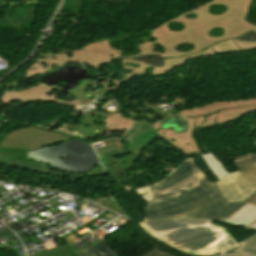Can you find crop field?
<instances>
[{
	"label": "crop field",
	"mask_w": 256,
	"mask_h": 256,
	"mask_svg": "<svg viewBox=\"0 0 256 256\" xmlns=\"http://www.w3.org/2000/svg\"><path fill=\"white\" fill-rule=\"evenodd\" d=\"M240 247L234 249L235 252H244L256 256V235L240 243Z\"/></svg>",
	"instance_id": "d1516ede"
},
{
	"label": "crop field",
	"mask_w": 256,
	"mask_h": 256,
	"mask_svg": "<svg viewBox=\"0 0 256 256\" xmlns=\"http://www.w3.org/2000/svg\"><path fill=\"white\" fill-rule=\"evenodd\" d=\"M39 256H73L71 253L69 247L66 243L61 244L59 246H56L54 248H51L49 250L43 251L40 253ZM77 256H87L86 253L83 251Z\"/></svg>",
	"instance_id": "28ad6ade"
},
{
	"label": "crop field",
	"mask_w": 256,
	"mask_h": 256,
	"mask_svg": "<svg viewBox=\"0 0 256 256\" xmlns=\"http://www.w3.org/2000/svg\"><path fill=\"white\" fill-rule=\"evenodd\" d=\"M146 202L144 219L191 218L224 221L246 201L228 204L215 183L209 184L191 160L162 183L137 190Z\"/></svg>",
	"instance_id": "ac0d7876"
},
{
	"label": "crop field",
	"mask_w": 256,
	"mask_h": 256,
	"mask_svg": "<svg viewBox=\"0 0 256 256\" xmlns=\"http://www.w3.org/2000/svg\"><path fill=\"white\" fill-rule=\"evenodd\" d=\"M25 256V255H24Z\"/></svg>",
	"instance_id": "d9b57169"
},
{
	"label": "crop field",
	"mask_w": 256,
	"mask_h": 256,
	"mask_svg": "<svg viewBox=\"0 0 256 256\" xmlns=\"http://www.w3.org/2000/svg\"><path fill=\"white\" fill-rule=\"evenodd\" d=\"M224 222L247 228L256 222V206L247 202Z\"/></svg>",
	"instance_id": "d8731c3e"
},
{
	"label": "crop field",
	"mask_w": 256,
	"mask_h": 256,
	"mask_svg": "<svg viewBox=\"0 0 256 256\" xmlns=\"http://www.w3.org/2000/svg\"><path fill=\"white\" fill-rule=\"evenodd\" d=\"M69 139L72 138L35 127L11 132L0 145V164L12 168L37 171L56 176L93 177L103 175L100 166L82 175L66 174L57 172L27 157V152L30 150Z\"/></svg>",
	"instance_id": "412701ff"
},
{
	"label": "crop field",
	"mask_w": 256,
	"mask_h": 256,
	"mask_svg": "<svg viewBox=\"0 0 256 256\" xmlns=\"http://www.w3.org/2000/svg\"><path fill=\"white\" fill-rule=\"evenodd\" d=\"M151 236L191 256L216 254L238 244L228 231L210 220H154L139 223Z\"/></svg>",
	"instance_id": "34b2d1b8"
},
{
	"label": "crop field",
	"mask_w": 256,
	"mask_h": 256,
	"mask_svg": "<svg viewBox=\"0 0 256 256\" xmlns=\"http://www.w3.org/2000/svg\"><path fill=\"white\" fill-rule=\"evenodd\" d=\"M161 256H171L170 254H168V253H164L163 255H161Z\"/></svg>",
	"instance_id": "cbeb9de0"
},
{
	"label": "crop field",
	"mask_w": 256,
	"mask_h": 256,
	"mask_svg": "<svg viewBox=\"0 0 256 256\" xmlns=\"http://www.w3.org/2000/svg\"><path fill=\"white\" fill-rule=\"evenodd\" d=\"M233 165L236 170L256 187V156L234 160ZM246 200L256 205V191Z\"/></svg>",
	"instance_id": "e52e79f7"
},
{
	"label": "crop field",
	"mask_w": 256,
	"mask_h": 256,
	"mask_svg": "<svg viewBox=\"0 0 256 256\" xmlns=\"http://www.w3.org/2000/svg\"><path fill=\"white\" fill-rule=\"evenodd\" d=\"M229 256H243V255H229Z\"/></svg>",
	"instance_id": "5142ce71"
},
{
	"label": "crop field",
	"mask_w": 256,
	"mask_h": 256,
	"mask_svg": "<svg viewBox=\"0 0 256 256\" xmlns=\"http://www.w3.org/2000/svg\"><path fill=\"white\" fill-rule=\"evenodd\" d=\"M157 250L155 247L139 256H147ZM84 251L88 256H120L104 239Z\"/></svg>",
	"instance_id": "5a996713"
},
{
	"label": "crop field",
	"mask_w": 256,
	"mask_h": 256,
	"mask_svg": "<svg viewBox=\"0 0 256 256\" xmlns=\"http://www.w3.org/2000/svg\"><path fill=\"white\" fill-rule=\"evenodd\" d=\"M249 228H251V229H255V230H256V223H255V224H253L252 226H250Z\"/></svg>",
	"instance_id": "22f410ed"
},
{
	"label": "crop field",
	"mask_w": 256,
	"mask_h": 256,
	"mask_svg": "<svg viewBox=\"0 0 256 256\" xmlns=\"http://www.w3.org/2000/svg\"><path fill=\"white\" fill-rule=\"evenodd\" d=\"M216 185L221 190L228 203L245 200L256 190V188L238 171L216 182Z\"/></svg>",
	"instance_id": "dd49c442"
},
{
	"label": "crop field",
	"mask_w": 256,
	"mask_h": 256,
	"mask_svg": "<svg viewBox=\"0 0 256 256\" xmlns=\"http://www.w3.org/2000/svg\"><path fill=\"white\" fill-rule=\"evenodd\" d=\"M212 4L227 6L220 16L209 14ZM251 0H212L152 30L156 41L139 45L140 53L120 57L122 51L112 49V58H133L158 54L163 58L186 56L214 44L236 38L256 26L244 20Z\"/></svg>",
	"instance_id": "8a807250"
},
{
	"label": "crop field",
	"mask_w": 256,
	"mask_h": 256,
	"mask_svg": "<svg viewBox=\"0 0 256 256\" xmlns=\"http://www.w3.org/2000/svg\"><path fill=\"white\" fill-rule=\"evenodd\" d=\"M201 157L213 175L217 178V180H220L229 174L226 168L212 154L204 155Z\"/></svg>",
	"instance_id": "3316defc"
},
{
	"label": "crop field",
	"mask_w": 256,
	"mask_h": 256,
	"mask_svg": "<svg viewBox=\"0 0 256 256\" xmlns=\"http://www.w3.org/2000/svg\"><path fill=\"white\" fill-rule=\"evenodd\" d=\"M256 49V42H244L239 40H227L224 42H219L214 46L206 49L203 52L187 56L185 58L179 59H166L167 65L165 67H153L144 62H135L133 60H124L123 71L125 73L126 69L133 70L131 74H129L125 79H129L134 75H164L170 72L177 70L183 64H185L189 59L197 58L201 56L214 55V54H222L229 52H237V51H246Z\"/></svg>",
	"instance_id": "f4fd0767"
}]
</instances>
